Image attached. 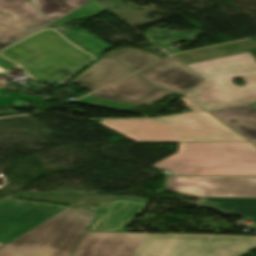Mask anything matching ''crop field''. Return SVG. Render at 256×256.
I'll return each mask as SVG.
<instances>
[{
  "label": "crop field",
  "mask_w": 256,
  "mask_h": 256,
  "mask_svg": "<svg viewBox=\"0 0 256 256\" xmlns=\"http://www.w3.org/2000/svg\"><path fill=\"white\" fill-rule=\"evenodd\" d=\"M167 185L189 197L256 198V178L168 177Z\"/></svg>",
  "instance_id": "e52e79f7"
},
{
  "label": "crop field",
  "mask_w": 256,
  "mask_h": 256,
  "mask_svg": "<svg viewBox=\"0 0 256 256\" xmlns=\"http://www.w3.org/2000/svg\"><path fill=\"white\" fill-rule=\"evenodd\" d=\"M100 124L136 142L247 141L206 111L153 120H103Z\"/></svg>",
  "instance_id": "ac0d7876"
},
{
  "label": "crop field",
  "mask_w": 256,
  "mask_h": 256,
  "mask_svg": "<svg viewBox=\"0 0 256 256\" xmlns=\"http://www.w3.org/2000/svg\"><path fill=\"white\" fill-rule=\"evenodd\" d=\"M97 1L109 10L121 9L122 7L120 0H115L114 2H111L109 0H97ZM116 1H118V3H115Z\"/></svg>",
  "instance_id": "214f88e0"
},
{
  "label": "crop field",
  "mask_w": 256,
  "mask_h": 256,
  "mask_svg": "<svg viewBox=\"0 0 256 256\" xmlns=\"http://www.w3.org/2000/svg\"><path fill=\"white\" fill-rule=\"evenodd\" d=\"M256 237L147 234L135 256H241Z\"/></svg>",
  "instance_id": "f4fd0767"
},
{
  "label": "crop field",
  "mask_w": 256,
  "mask_h": 256,
  "mask_svg": "<svg viewBox=\"0 0 256 256\" xmlns=\"http://www.w3.org/2000/svg\"><path fill=\"white\" fill-rule=\"evenodd\" d=\"M130 73L129 69L109 56L100 59L70 82L93 92Z\"/></svg>",
  "instance_id": "22f410ed"
},
{
  "label": "crop field",
  "mask_w": 256,
  "mask_h": 256,
  "mask_svg": "<svg viewBox=\"0 0 256 256\" xmlns=\"http://www.w3.org/2000/svg\"><path fill=\"white\" fill-rule=\"evenodd\" d=\"M112 56L134 72L160 60L141 50L135 49H124Z\"/></svg>",
  "instance_id": "4a817a6b"
},
{
  "label": "crop field",
  "mask_w": 256,
  "mask_h": 256,
  "mask_svg": "<svg viewBox=\"0 0 256 256\" xmlns=\"http://www.w3.org/2000/svg\"><path fill=\"white\" fill-rule=\"evenodd\" d=\"M179 100L183 102L192 111L203 110L197 104H195L187 98H180Z\"/></svg>",
  "instance_id": "92a150f3"
},
{
  "label": "crop field",
  "mask_w": 256,
  "mask_h": 256,
  "mask_svg": "<svg viewBox=\"0 0 256 256\" xmlns=\"http://www.w3.org/2000/svg\"><path fill=\"white\" fill-rule=\"evenodd\" d=\"M209 112L249 141H256V110L249 105L210 110Z\"/></svg>",
  "instance_id": "cbeb9de0"
},
{
  "label": "crop field",
  "mask_w": 256,
  "mask_h": 256,
  "mask_svg": "<svg viewBox=\"0 0 256 256\" xmlns=\"http://www.w3.org/2000/svg\"><path fill=\"white\" fill-rule=\"evenodd\" d=\"M148 201L115 197L104 216H96L88 231L125 232L135 214L141 213Z\"/></svg>",
  "instance_id": "d1516ede"
},
{
  "label": "crop field",
  "mask_w": 256,
  "mask_h": 256,
  "mask_svg": "<svg viewBox=\"0 0 256 256\" xmlns=\"http://www.w3.org/2000/svg\"><path fill=\"white\" fill-rule=\"evenodd\" d=\"M138 74L154 85L182 95L204 80L173 56L138 72Z\"/></svg>",
  "instance_id": "28ad6ade"
},
{
  "label": "crop field",
  "mask_w": 256,
  "mask_h": 256,
  "mask_svg": "<svg viewBox=\"0 0 256 256\" xmlns=\"http://www.w3.org/2000/svg\"><path fill=\"white\" fill-rule=\"evenodd\" d=\"M252 143L256 145V142H252Z\"/></svg>",
  "instance_id": "00972430"
},
{
  "label": "crop field",
  "mask_w": 256,
  "mask_h": 256,
  "mask_svg": "<svg viewBox=\"0 0 256 256\" xmlns=\"http://www.w3.org/2000/svg\"><path fill=\"white\" fill-rule=\"evenodd\" d=\"M50 23L29 0H0V48Z\"/></svg>",
  "instance_id": "5a996713"
},
{
  "label": "crop field",
  "mask_w": 256,
  "mask_h": 256,
  "mask_svg": "<svg viewBox=\"0 0 256 256\" xmlns=\"http://www.w3.org/2000/svg\"><path fill=\"white\" fill-rule=\"evenodd\" d=\"M44 98L0 89V106H11L16 100L39 104Z\"/></svg>",
  "instance_id": "bc2a9ffb"
},
{
  "label": "crop field",
  "mask_w": 256,
  "mask_h": 256,
  "mask_svg": "<svg viewBox=\"0 0 256 256\" xmlns=\"http://www.w3.org/2000/svg\"><path fill=\"white\" fill-rule=\"evenodd\" d=\"M93 216L67 208L0 248V256H69Z\"/></svg>",
  "instance_id": "412701ff"
},
{
  "label": "crop field",
  "mask_w": 256,
  "mask_h": 256,
  "mask_svg": "<svg viewBox=\"0 0 256 256\" xmlns=\"http://www.w3.org/2000/svg\"><path fill=\"white\" fill-rule=\"evenodd\" d=\"M197 206L228 209L239 216H256V199L200 198Z\"/></svg>",
  "instance_id": "d9b57169"
},
{
  "label": "crop field",
  "mask_w": 256,
  "mask_h": 256,
  "mask_svg": "<svg viewBox=\"0 0 256 256\" xmlns=\"http://www.w3.org/2000/svg\"><path fill=\"white\" fill-rule=\"evenodd\" d=\"M152 167L173 175L256 176V147L249 142L179 143L177 154Z\"/></svg>",
  "instance_id": "34b2d1b8"
},
{
  "label": "crop field",
  "mask_w": 256,
  "mask_h": 256,
  "mask_svg": "<svg viewBox=\"0 0 256 256\" xmlns=\"http://www.w3.org/2000/svg\"><path fill=\"white\" fill-rule=\"evenodd\" d=\"M170 93L134 74L74 103L125 111L140 103L149 104Z\"/></svg>",
  "instance_id": "dd49c442"
},
{
  "label": "crop field",
  "mask_w": 256,
  "mask_h": 256,
  "mask_svg": "<svg viewBox=\"0 0 256 256\" xmlns=\"http://www.w3.org/2000/svg\"><path fill=\"white\" fill-rule=\"evenodd\" d=\"M3 244L0 243V246H2Z\"/></svg>",
  "instance_id": "a9b5d70f"
},
{
  "label": "crop field",
  "mask_w": 256,
  "mask_h": 256,
  "mask_svg": "<svg viewBox=\"0 0 256 256\" xmlns=\"http://www.w3.org/2000/svg\"><path fill=\"white\" fill-rule=\"evenodd\" d=\"M251 50H256V42L251 40H246V41L231 43L227 45L178 54L174 56L180 61H182L184 64H189V63L237 54V53L251 51Z\"/></svg>",
  "instance_id": "5142ce71"
},
{
  "label": "crop field",
  "mask_w": 256,
  "mask_h": 256,
  "mask_svg": "<svg viewBox=\"0 0 256 256\" xmlns=\"http://www.w3.org/2000/svg\"><path fill=\"white\" fill-rule=\"evenodd\" d=\"M253 222L256 223V217H249Z\"/></svg>",
  "instance_id": "dafd665d"
},
{
  "label": "crop field",
  "mask_w": 256,
  "mask_h": 256,
  "mask_svg": "<svg viewBox=\"0 0 256 256\" xmlns=\"http://www.w3.org/2000/svg\"><path fill=\"white\" fill-rule=\"evenodd\" d=\"M146 234L86 232L72 256H134Z\"/></svg>",
  "instance_id": "3316defc"
},
{
  "label": "crop field",
  "mask_w": 256,
  "mask_h": 256,
  "mask_svg": "<svg viewBox=\"0 0 256 256\" xmlns=\"http://www.w3.org/2000/svg\"><path fill=\"white\" fill-rule=\"evenodd\" d=\"M53 22L77 9L88 0H30Z\"/></svg>",
  "instance_id": "733c2abd"
},
{
  "label": "crop field",
  "mask_w": 256,
  "mask_h": 256,
  "mask_svg": "<svg viewBox=\"0 0 256 256\" xmlns=\"http://www.w3.org/2000/svg\"><path fill=\"white\" fill-rule=\"evenodd\" d=\"M65 208L11 197L0 201V241L5 244L10 242Z\"/></svg>",
  "instance_id": "d8731c3e"
},
{
  "label": "crop field",
  "mask_w": 256,
  "mask_h": 256,
  "mask_svg": "<svg viewBox=\"0 0 256 256\" xmlns=\"http://www.w3.org/2000/svg\"><path fill=\"white\" fill-rule=\"evenodd\" d=\"M249 52L187 65L205 80L184 96L205 109L256 101V63ZM242 78L246 86L231 83Z\"/></svg>",
  "instance_id": "8a807250"
}]
</instances>
